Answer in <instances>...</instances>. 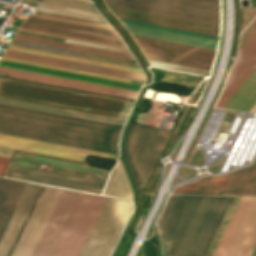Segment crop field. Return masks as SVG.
<instances>
[{
	"label": "crop field",
	"mask_w": 256,
	"mask_h": 256,
	"mask_svg": "<svg viewBox=\"0 0 256 256\" xmlns=\"http://www.w3.org/2000/svg\"><path fill=\"white\" fill-rule=\"evenodd\" d=\"M229 198L171 195L158 221L164 256H201Z\"/></svg>",
	"instance_id": "8a807250"
},
{
	"label": "crop field",
	"mask_w": 256,
	"mask_h": 256,
	"mask_svg": "<svg viewBox=\"0 0 256 256\" xmlns=\"http://www.w3.org/2000/svg\"><path fill=\"white\" fill-rule=\"evenodd\" d=\"M121 130L0 108V133L118 155Z\"/></svg>",
	"instance_id": "ac0d7876"
},
{
	"label": "crop field",
	"mask_w": 256,
	"mask_h": 256,
	"mask_svg": "<svg viewBox=\"0 0 256 256\" xmlns=\"http://www.w3.org/2000/svg\"><path fill=\"white\" fill-rule=\"evenodd\" d=\"M0 79L126 102L119 118L115 119L118 117V115L124 105L123 102H117V101H112V100H106V99H101V98H95V97H90V96H84V95H79V94H73V93H68V92H62V91H57V90H52V89H46V88H41V87H35V86L0 80V97H2V98H8V99H13V100L41 104V105H47V106L70 109V110H75V111L87 112V113L98 114V115H103V116L115 117V118H109V117H103V116H98V115H92V114H86V113L75 112V111H70V110H64V109H58V108H53V107L25 103V104L36 105V106H41V107H46V108H52V109H57V110L73 112V113H79V114H84V115L100 117V118H106V119H111V120H116V121L124 122L133 103H134L132 101H126V100L104 97V96H99V95L87 94V93L65 90V89H60V88H54V87H49V86H43V85L27 83V82H22V81H17V80H11V79L1 78V77H0ZM2 98H0V99H2ZM8 99H3V100H8ZM13 100H9V101H13ZM19 101H14V102H19ZM20 103H24V102H20Z\"/></svg>",
	"instance_id": "34b2d1b8"
},
{
	"label": "crop field",
	"mask_w": 256,
	"mask_h": 256,
	"mask_svg": "<svg viewBox=\"0 0 256 256\" xmlns=\"http://www.w3.org/2000/svg\"><path fill=\"white\" fill-rule=\"evenodd\" d=\"M169 133V130L134 124L131 125L125 142V156L133 175L138 194Z\"/></svg>",
	"instance_id": "412701ff"
},
{
	"label": "crop field",
	"mask_w": 256,
	"mask_h": 256,
	"mask_svg": "<svg viewBox=\"0 0 256 256\" xmlns=\"http://www.w3.org/2000/svg\"><path fill=\"white\" fill-rule=\"evenodd\" d=\"M21 27L125 47L106 23L37 11Z\"/></svg>",
	"instance_id": "f4fd0767"
},
{
	"label": "crop field",
	"mask_w": 256,
	"mask_h": 256,
	"mask_svg": "<svg viewBox=\"0 0 256 256\" xmlns=\"http://www.w3.org/2000/svg\"><path fill=\"white\" fill-rule=\"evenodd\" d=\"M107 198L81 193L50 256H78Z\"/></svg>",
	"instance_id": "dd49c442"
},
{
	"label": "crop field",
	"mask_w": 256,
	"mask_h": 256,
	"mask_svg": "<svg viewBox=\"0 0 256 256\" xmlns=\"http://www.w3.org/2000/svg\"><path fill=\"white\" fill-rule=\"evenodd\" d=\"M132 209L130 202L108 198L79 256H109Z\"/></svg>",
	"instance_id": "e52e79f7"
},
{
	"label": "crop field",
	"mask_w": 256,
	"mask_h": 256,
	"mask_svg": "<svg viewBox=\"0 0 256 256\" xmlns=\"http://www.w3.org/2000/svg\"><path fill=\"white\" fill-rule=\"evenodd\" d=\"M256 244V197H242L214 256H250Z\"/></svg>",
	"instance_id": "d8731c3e"
},
{
	"label": "crop field",
	"mask_w": 256,
	"mask_h": 256,
	"mask_svg": "<svg viewBox=\"0 0 256 256\" xmlns=\"http://www.w3.org/2000/svg\"><path fill=\"white\" fill-rule=\"evenodd\" d=\"M133 36V35H132ZM146 58L210 70L214 50L133 36Z\"/></svg>",
	"instance_id": "5a996713"
},
{
	"label": "crop field",
	"mask_w": 256,
	"mask_h": 256,
	"mask_svg": "<svg viewBox=\"0 0 256 256\" xmlns=\"http://www.w3.org/2000/svg\"><path fill=\"white\" fill-rule=\"evenodd\" d=\"M63 190L45 186L11 256H30Z\"/></svg>",
	"instance_id": "3316defc"
},
{
	"label": "crop field",
	"mask_w": 256,
	"mask_h": 256,
	"mask_svg": "<svg viewBox=\"0 0 256 256\" xmlns=\"http://www.w3.org/2000/svg\"><path fill=\"white\" fill-rule=\"evenodd\" d=\"M119 18V17H118ZM133 35L216 50L218 37L119 18Z\"/></svg>",
	"instance_id": "28ad6ade"
},
{
	"label": "crop field",
	"mask_w": 256,
	"mask_h": 256,
	"mask_svg": "<svg viewBox=\"0 0 256 256\" xmlns=\"http://www.w3.org/2000/svg\"><path fill=\"white\" fill-rule=\"evenodd\" d=\"M80 193L64 190L32 255L49 256Z\"/></svg>",
	"instance_id": "d1516ede"
},
{
	"label": "crop field",
	"mask_w": 256,
	"mask_h": 256,
	"mask_svg": "<svg viewBox=\"0 0 256 256\" xmlns=\"http://www.w3.org/2000/svg\"><path fill=\"white\" fill-rule=\"evenodd\" d=\"M0 146L83 161L86 155L117 160L118 156L0 134ZM85 161V160H84Z\"/></svg>",
	"instance_id": "22f410ed"
},
{
	"label": "crop field",
	"mask_w": 256,
	"mask_h": 256,
	"mask_svg": "<svg viewBox=\"0 0 256 256\" xmlns=\"http://www.w3.org/2000/svg\"><path fill=\"white\" fill-rule=\"evenodd\" d=\"M255 69L256 31L239 50L238 60L230 72L227 83L216 107L224 108Z\"/></svg>",
	"instance_id": "cbeb9de0"
},
{
	"label": "crop field",
	"mask_w": 256,
	"mask_h": 256,
	"mask_svg": "<svg viewBox=\"0 0 256 256\" xmlns=\"http://www.w3.org/2000/svg\"><path fill=\"white\" fill-rule=\"evenodd\" d=\"M6 177L100 194L105 183L11 166Z\"/></svg>",
	"instance_id": "5142ce71"
},
{
	"label": "crop field",
	"mask_w": 256,
	"mask_h": 256,
	"mask_svg": "<svg viewBox=\"0 0 256 256\" xmlns=\"http://www.w3.org/2000/svg\"><path fill=\"white\" fill-rule=\"evenodd\" d=\"M108 4L219 25V14L149 0H105Z\"/></svg>",
	"instance_id": "d9b57169"
},
{
	"label": "crop field",
	"mask_w": 256,
	"mask_h": 256,
	"mask_svg": "<svg viewBox=\"0 0 256 256\" xmlns=\"http://www.w3.org/2000/svg\"><path fill=\"white\" fill-rule=\"evenodd\" d=\"M0 72L9 73L8 77L10 78H16V79L27 80V81L38 82V83L49 84V85L60 86V87L71 88V89H77V90L110 95L115 97H121L126 99L134 100L137 95L136 92H130V91H125L120 89H114V88L92 85V84L65 80L60 78H54V77H49L44 75L16 71V70H11L6 68H0Z\"/></svg>",
	"instance_id": "733c2abd"
},
{
	"label": "crop field",
	"mask_w": 256,
	"mask_h": 256,
	"mask_svg": "<svg viewBox=\"0 0 256 256\" xmlns=\"http://www.w3.org/2000/svg\"><path fill=\"white\" fill-rule=\"evenodd\" d=\"M4 56L141 82H144L145 79L144 74L141 73L129 72L124 70L112 69L107 67L95 66L90 64L78 63L73 61L61 60L56 58L44 57L10 50H7Z\"/></svg>",
	"instance_id": "4a817a6b"
},
{
	"label": "crop field",
	"mask_w": 256,
	"mask_h": 256,
	"mask_svg": "<svg viewBox=\"0 0 256 256\" xmlns=\"http://www.w3.org/2000/svg\"><path fill=\"white\" fill-rule=\"evenodd\" d=\"M42 186L29 183L0 241V256H8Z\"/></svg>",
	"instance_id": "bc2a9ffb"
},
{
	"label": "crop field",
	"mask_w": 256,
	"mask_h": 256,
	"mask_svg": "<svg viewBox=\"0 0 256 256\" xmlns=\"http://www.w3.org/2000/svg\"><path fill=\"white\" fill-rule=\"evenodd\" d=\"M0 67H6V68H11V69H16V70L44 74V75H49V76H54V77L82 81V82H87V83H92V84H98V85L120 88V89H125V90H130V91H136V92L139 91V87H140L138 85H132V84H127V83H122V82L105 80V79H100V78H95V77H89V76H84V75H79V74L62 72V71L46 69V68H41V67H35V66H30V65H25V64L3 61V60L0 61Z\"/></svg>",
	"instance_id": "214f88e0"
},
{
	"label": "crop field",
	"mask_w": 256,
	"mask_h": 256,
	"mask_svg": "<svg viewBox=\"0 0 256 256\" xmlns=\"http://www.w3.org/2000/svg\"><path fill=\"white\" fill-rule=\"evenodd\" d=\"M28 183L0 178V239Z\"/></svg>",
	"instance_id": "92a150f3"
},
{
	"label": "crop field",
	"mask_w": 256,
	"mask_h": 256,
	"mask_svg": "<svg viewBox=\"0 0 256 256\" xmlns=\"http://www.w3.org/2000/svg\"><path fill=\"white\" fill-rule=\"evenodd\" d=\"M256 189V160L254 164L236 171L225 195H253Z\"/></svg>",
	"instance_id": "dafd665d"
},
{
	"label": "crop field",
	"mask_w": 256,
	"mask_h": 256,
	"mask_svg": "<svg viewBox=\"0 0 256 256\" xmlns=\"http://www.w3.org/2000/svg\"><path fill=\"white\" fill-rule=\"evenodd\" d=\"M103 194L133 200L130 184L120 160L117 166L114 168Z\"/></svg>",
	"instance_id": "00972430"
},
{
	"label": "crop field",
	"mask_w": 256,
	"mask_h": 256,
	"mask_svg": "<svg viewBox=\"0 0 256 256\" xmlns=\"http://www.w3.org/2000/svg\"><path fill=\"white\" fill-rule=\"evenodd\" d=\"M8 49L16 50V51H22V52H27V53H33V54H39V55H44V56L56 57V58H61V59L73 60V61H78V62L90 63V64H95V65L107 66V67H112V68L124 69V70H129V71L141 72L142 73L141 69H138V68H132V67H127V66L110 64V63H105V62H100V61H94V60L83 59V58H78V57H72V56H67V55H61V54H56V53H50V52H45V51H40V50H34V49H29V48L18 47V46L10 45Z\"/></svg>",
	"instance_id": "a9b5d70f"
},
{
	"label": "crop field",
	"mask_w": 256,
	"mask_h": 256,
	"mask_svg": "<svg viewBox=\"0 0 256 256\" xmlns=\"http://www.w3.org/2000/svg\"><path fill=\"white\" fill-rule=\"evenodd\" d=\"M14 38L134 60L132 55H129V54H123V53L101 50V49H96V48H90V47H85V46L73 45V44L62 43V42L51 41V40H46V39H40V38L29 37V36H24V35H18V34H16Z\"/></svg>",
	"instance_id": "4177f3b9"
},
{
	"label": "crop field",
	"mask_w": 256,
	"mask_h": 256,
	"mask_svg": "<svg viewBox=\"0 0 256 256\" xmlns=\"http://www.w3.org/2000/svg\"><path fill=\"white\" fill-rule=\"evenodd\" d=\"M14 158L38 162V163L50 164V165H55V166H61V167H66V168H72V169H77V170H83V171H88V172L106 174V175H108V173L110 172L109 170H103V169L87 167V166H82V165H77V164H71V163H66V162H61V161H55V160H50V159H45V158H39V157H34V156H29V155H23V154H18V153L15 154Z\"/></svg>",
	"instance_id": "730fd06b"
},
{
	"label": "crop field",
	"mask_w": 256,
	"mask_h": 256,
	"mask_svg": "<svg viewBox=\"0 0 256 256\" xmlns=\"http://www.w3.org/2000/svg\"><path fill=\"white\" fill-rule=\"evenodd\" d=\"M219 13V0H154Z\"/></svg>",
	"instance_id": "eef30255"
},
{
	"label": "crop field",
	"mask_w": 256,
	"mask_h": 256,
	"mask_svg": "<svg viewBox=\"0 0 256 256\" xmlns=\"http://www.w3.org/2000/svg\"><path fill=\"white\" fill-rule=\"evenodd\" d=\"M0 103L12 105V106L23 107V108L34 109V110H39V111H45V112H50V113H56V114H61V115H67V116H72V117H77V118H83V119H88V120H94V121H99V122H105V123H110V124H115V125L123 126V124H124L122 122H116V121H111V120H106V119H100V118H95V117H89V116H84V115H79V114L63 112V111H57V110L46 109V108H41V107H36V106L19 104V103H14V102H9V101L0 100Z\"/></svg>",
	"instance_id": "ae1a2a85"
},
{
	"label": "crop field",
	"mask_w": 256,
	"mask_h": 256,
	"mask_svg": "<svg viewBox=\"0 0 256 256\" xmlns=\"http://www.w3.org/2000/svg\"><path fill=\"white\" fill-rule=\"evenodd\" d=\"M23 1H29V2H35V3L41 2V3H47V4L58 5V6L69 7V8H74V9L85 10V11L97 13L93 4L79 2V1H73V0H42V1L23 0Z\"/></svg>",
	"instance_id": "d3111659"
},
{
	"label": "crop field",
	"mask_w": 256,
	"mask_h": 256,
	"mask_svg": "<svg viewBox=\"0 0 256 256\" xmlns=\"http://www.w3.org/2000/svg\"><path fill=\"white\" fill-rule=\"evenodd\" d=\"M2 59L3 60L14 61V62H19V63H25V64H30V65L46 67V68L57 69V70H62V71H68V72H73V73H79V74H84V75H89V76L106 78V79H111V80H116V81H122V82H127V83H132V84H138V85L142 84L141 82H135V81L125 80V79H119V78L108 77V76H103V75H97V74L81 72V71H76V70H70V69H65V68H59V67H54V66H49V65H43V64L32 63V62H27V61H21V60H16V59H11V58L2 57Z\"/></svg>",
	"instance_id": "750c4746"
},
{
	"label": "crop field",
	"mask_w": 256,
	"mask_h": 256,
	"mask_svg": "<svg viewBox=\"0 0 256 256\" xmlns=\"http://www.w3.org/2000/svg\"><path fill=\"white\" fill-rule=\"evenodd\" d=\"M11 44L12 45H18V46H23V47H29V48H34V49H40V50H45V51H50V52H56V53H61V54H67V55H72V56H78V57H83V58H89V59H94V60H100V61H105V62L116 63V64H121V65H127V66H132V67L140 68L139 65H136V64H130V63H125V62H119V61L108 60V59H103V58H97V57H92V56H86V55H81V54L69 53V52L58 51V50L47 49V48H42V47H36V46L25 45V44H20V43H14V42H11Z\"/></svg>",
	"instance_id": "bd1437ed"
},
{
	"label": "crop field",
	"mask_w": 256,
	"mask_h": 256,
	"mask_svg": "<svg viewBox=\"0 0 256 256\" xmlns=\"http://www.w3.org/2000/svg\"><path fill=\"white\" fill-rule=\"evenodd\" d=\"M108 176L86 172L83 178L105 182Z\"/></svg>",
	"instance_id": "1d83c4d3"
},
{
	"label": "crop field",
	"mask_w": 256,
	"mask_h": 256,
	"mask_svg": "<svg viewBox=\"0 0 256 256\" xmlns=\"http://www.w3.org/2000/svg\"><path fill=\"white\" fill-rule=\"evenodd\" d=\"M13 151L14 150H12V149H7V148H1L0 147V156L11 158L12 154H13Z\"/></svg>",
	"instance_id": "120bbe31"
},
{
	"label": "crop field",
	"mask_w": 256,
	"mask_h": 256,
	"mask_svg": "<svg viewBox=\"0 0 256 256\" xmlns=\"http://www.w3.org/2000/svg\"><path fill=\"white\" fill-rule=\"evenodd\" d=\"M25 44H27V43H25ZM36 46H38V45H36ZM42 47H44V46H42ZM47 48H49V47H47ZM53 49H55V48H53ZM58 50H61V49H58ZM64 51H66V50H64ZM69 52H72V51H69ZM75 53H78V52H75ZM81 54H84V53H81ZM86 55H89V54H86ZM92 56H95V55H92ZM97 57H101V56H97ZM103 58H106V57H103ZM108 59H112V58H108ZM114 60H118V59H114ZM119 61H123V60H119ZM125 62H129V61H125ZM130 63H134V62H130ZM136 64H138V63H136Z\"/></svg>",
	"instance_id": "d32e631a"
},
{
	"label": "crop field",
	"mask_w": 256,
	"mask_h": 256,
	"mask_svg": "<svg viewBox=\"0 0 256 256\" xmlns=\"http://www.w3.org/2000/svg\"><path fill=\"white\" fill-rule=\"evenodd\" d=\"M251 256H256V247H255V249H254V251H253Z\"/></svg>",
	"instance_id": "5866460e"
}]
</instances>
